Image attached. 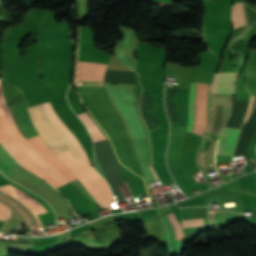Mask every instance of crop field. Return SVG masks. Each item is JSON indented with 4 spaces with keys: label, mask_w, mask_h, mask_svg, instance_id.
I'll return each instance as SVG.
<instances>
[{
    "label": "crop field",
    "mask_w": 256,
    "mask_h": 256,
    "mask_svg": "<svg viewBox=\"0 0 256 256\" xmlns=\"http://www.w3.org/2000/svg\"><path fill=\"white\" fill-rule=\"evenodd\" d=\"M48 113L54 122L59 126V128L64 132L65 135L69 134L67 129L62 125V123L58 120V116L56 118L49 106L48 103L44 104ZM43 104L37 105L40 113L46 122L50 125V127L56 132V134L64 141V143L68 146L69 150L72 152L75 158L86 155L83 148L80 146L77 139L73 136V134H69L65 136L63 132L58 128V126L53 122L44 108ZM52 107V106H51ZM29 112L33 121L34 126L46 142V144L56 153H62L68 151L67 146L62 142V140L55 134V132L49 127V125L42 118L41 114L37 110L36 106L29 107ZM53 109V108H52ZM54 111V110H53ZM70 151L62 154H58L57 156L70 168V170L79 178V180L84 184L89 193L95 198L98 204L101 206L107 207L106 201L108 203L109 208L111 209L110 202H113V198L109 189L107 182L93 170L90 166L87 156L77 158L78 163L82 166V168L86 171V173L91 177V179L96 183V185L100 188L104 200L99 188L95 185V183L90 179V177L85 173V171L80 167L77 163L73 155Z\"/></svg>",
    "instance_id": "1"
},
{
    "label": "crop field",
    "mask_w": 256,
    "mask_h": 256,
    "mask_svg": "<svg viewBox=\"0 0 256 256\" xmlns=\"http://www.w3.org/2000/svg\"><path fill=\"white\" fill-rule=\"evenodd\" d=\"M0 111L5 124V127L10 136L55 180L61 185L68 182L67 180L54 166H52L28 141L25 139L15 126L14 120L9 112L8 107L5 104L1 86H0Z\"/></svg>",
    "instance_id": "2"
},
{
    "label": "crop field",
    "mask_w": 256,
    "mask_h": 256,
    "mask_svg": "<svg viewBox=\"0 0 256 256\" xmlns=\"http://www.w3.org/2000/svg\"><path fill=\"white\" fill-rule=\"evenodd\" d=\"M193 86H194V83H191L190 97H189V102H188V123H187L188 131H189L190 122H191V101H192ZM200 86H201V84H197V83H195V86H194V94H193V101H192V122H191V128H190V131H193V132H195V129H196L197 103H198V97H199V92H200ZM205 87H206V85L202 84L200 97H199V103H198V122H197L196 133H200V130H201L202 103H203V98H204ZM208 90H209V85H207V87H206L205 98H204V103H203V122H202L201 134L206 129Z\"/></svg>",
    "instance_id": "3"
},
{
    "label": "crop field",
    "mask_w": 256,
    "mask_h": 256,
    "mask_svg": "<svg viewBox=\"0 0 256 256\" xmlns=\"http://www.w3.org/2000/svg\"><path fill=\"white\" fill-rule=\"evenodd\" d=\"M107 65L77 63L76 86H103Z\"/></svg>",
    "instance_id": "4"
},
{
    "label": "crop field",
    "mask_w": 256,
    "mask_h": 256,
    "mask_svg": "<svg viewBox=\"0 0 256 256\" xmlns=\"http://www.w3.org/2000/svg\"><path fill=\"white\" fill-rule=\"evenodd\" d=\"M240 129L224 127L216 154L232 155Z\"/></svg>",
    "instance_id": "5"
},
{
    "label": "crop field",
    "mask_w": 256,
    "mask_h": 256,
    "mask_svg": "<svg viewBox=\"0 0 256 256\" xmlns=\"http://www.w3.org/2000/svg\"><path fill=\"white\" fill-rule=\"evenodd\" d=\"M252 13L247 7V5L245 4V2L233 4V10H232L233 29L256 22V18Z\"/></svg>",
    "instance_id": "6"
},
{
    "label": "crop field",
    "mask_w": 256,
    "mask_h": 256,
    "mask_svg": "<svg viewBox=\"0 0 256 256\" xmlns=\"http://www.w3.org/2000/svg\"><path fill=\"white\" fill-rule=\"evenodd\" d=\"M232 75H233V72L216 73L211 94L228 95ZM235 77H236V72H234V75L232 78L229 95H232Z\"/></svg>",
    "instance_id": "7"
},
{
    "label": "crop field",
    "mask_w": 256,
    "mask_h": 256,
    "mask_svg": "<svg viewBox=\"0 0 256 256\" xmlns=\"http://www.w3.org/2000/svg\"><path fill=\"white\" fill-rule=\"evenodd\" d=\"M0 192H2V193H4V194H6V195H8V196H10V197H12V198H14L13 196H11V195H9V194H7V193L1 191V190H0ZM2 193H0L1 196L6 197V198H8V199L14 201L23 211H25V212L30 216V218L32 219V221L34 222V224H37V221H38V223L40 224L39 219L34 215V213L31 211V209H30L28 206H26L23 202L19 201L18 199L14 198V199L18 200L24 207H26V208L34 215V217L36 218L37 221L35 220V218L33 217V215H32L27 209H25L18 201L14 200V199H12V198H10V197H8V196L2 194ZM0 200H2V201H4V202L8 203V204L11 205L15 210H17V211L21 214V216L24 218V220H25L27 226H28V225H32V222L30 221V219L28 218V216H27L18 206H16L14 203H12V202H10V201H8V200L2 198V197H0ZM2 201H1V202H2ZM4 202H3V203H4ZM6 203H4V204L7 205V206H9V205L6 204ZM9 207H10V206H9ZM12 207H10V209H11L13 212H15V213L19 216V218L21 219L23 225L26 226L25 223H24L23 218H22V217L19 215V213H18L17 211H15ZM40 226H41V225H40Z\"/></svg>",
    "instance_id": "8"
},
{
    "label": "crop field",
    "mask_w": 256,
    "mask_h": 256,
    "mask_svg": "<svg viewBox=\"0 0 256 256\" xmlns=\"http://www.w3.org/2000/svg\"><path fill=\"white\" fill-rule=\"evenodd\" d=\"M39 142L50 152V154L64 167V169L69 173V175L75 179V177L71 174V172L66 168V166L49 150V148L41 141L39 136H37ZM36 137L32 139H28L36 149L49 161L51 162L57 169H59L70 181L73 180L68 173L63 169V167L46 151V149L38 142Z\"/></svg>",
    "instance_id": "9"
},
{
    "label": "crop field",
    "mask_w": 256,
    "mask_h": 256,
    "mask_svg": "<svg viewBox=\"0 0 256 256\" xmlns=\"http://www.w3.org/2000/svg\"><path fill=\"white\" fill-rule=\"evenodd\" d=\"M0 189L16 196L21 201L26 203L28 206L32 208V210L35 212L36 215L47 213V211L38 202H36L30 196L26 195L25 193L15 188L14 186L12 185L4 186V187H0Z\"/></svg>",
    "instance_id": "10"
},
{
    "label": "crop field",
    "mask_w": 256,
    "mask_h": 256,
    "mask_svg": "<svg viewBox=\"0 0 256 256\" xmlns=\"http://www.w3.org/2000/svg\"><path fill=\"white\" fill-rule=\"evenodd\" d=\"M18 165L15 159L0 145V171L7 177L15 174L9 168Z\"/></svg>",
    "instance_id": "11"
},
{
    "label": "crop field",
    "mask_w": 256,
    "mask_h": 256,
    "mask_svg": "<svg viewBox=\"0 0 256 256\" xmlns=\"http://www.w3.org/2000/svg\"><path fill=\"white\" fill-rule=\"evenodd\" d=\"M227 106L212 105L210 122L205 133H211L214 126H218ZM218 127H215L212 134H215Z\"/></svg>",
    "instance_id": "12"
},
{
    "label": "crop field",
    "mask_w": 256,
    "mask_h": 256,
    "mask_svg": "<svg viewBox=\"0 0 256 256\" xmlns=\"http://www.w3.org/2000/svg\"><path fill=\"white\" fill-rule=\"evenodd\" d=\"M200 225H204L203 218L194 219V220H182V227L200 226Z\"/></svg>",
    "instance_id": "13"
},
{
    "label": "crop field",
    "mask_w": 256,
    "mask_h": 256,
    "mask_svg": "<svg viewBox=\"0 0 256 256\" xmlns=\"http://www.w3.org/2000/svg\"><path fill=\"white\" fill-rule=\"evenodd\" d=\"M9 213H10L9 209L0 204V221L8 218Z\"/></svg>",
    "instance_id": "14"
},
{
    "label": "crop field",
    "mask_w": 256,
    "mask_h": 256,
    "mask_svg": "<svg viewBox=\"0 0 256 256\" xmlns=\"http://www.w3.org/2000/svg\"><path fill=\"white\" fill-rule=\"evenodd\" d=\"M205 151L206 150H200L199 151V155L197 157V161H198V163H200L201 165L206 167V164H205Z\"/></svg>",
    "instance_id": "15"
},
{
    "label": "crop field",
    "mask_w": 256,
    "mask_h": 256,
    "mask_svg": "<svg viewBox=\"0 0 256 256\" xmlns=\"http://www.w3.org/2000/svg\"><path fill=\"white\" fill-rule=\"evenodd\" d=\"M253 97H254V96H251L250 104H249L248 111H247L246 118H245L244 122H245V121L248 119V117H249V113H250V109H251Z\"/></svg>",
    "instance_id": "16"
},
{
    "label": "crop field",
    "mask_w": 256,
    "mask_h": 256,
    "mask_svg": "<svg viewBox=\"0 0 256 256\" xmlns=\"http://www.w3.org/2000/svg\"><path fill=\"white\" fill-rule=\"evenodd\" d=\"M148 167H149V170H150V172H151L153 178L156 180L155 174H154V171H153L152 168H151V165H148Z\"/></svg>",
    "instance_id": "17"
},
{
    "label": "crop field",
    "mask_w": 256,
    "mask_h": 256,
    "mask_svg": "<svg viewBox=\"0 0 256 256\" xmlns=\"http://www.w3.org/2000/svg\"><path fill=\"white\" fill-rule=\"evenodd\" d=\"M250 160H252V159H250ZM253 161H255V160H253Z\"/></svg>",
    "instance_id": "18"
},
{
    "label": "crop field",
    "mask_w": 256,
    "mask_h": 256,
    "mask_svg": "<svg viewBox=\"0 0 256 256\" xmlns=\"http://www.w3.org/2000/svg\"><path fill=\"white\" fill-rule=\"evenodd\" d=\"M135 196H137V195H135ZM135 196H134V197H135Z\"/></svg>",
    "instance_id": "19"
}]
</instances>
